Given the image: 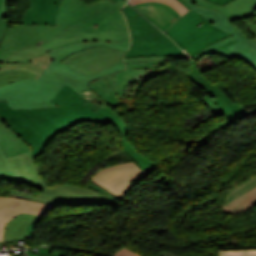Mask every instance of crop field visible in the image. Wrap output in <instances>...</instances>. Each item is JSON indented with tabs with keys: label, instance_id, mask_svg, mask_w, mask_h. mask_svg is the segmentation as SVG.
Segmentation results:
<instances>
[{
	"label": "crop field",
	"instance_id": "crop-field-1",
	"mask_svg": "<svg viewBox=\"0 0 256 256\" xmlns=\"http://www.w3.org/2000/svg\"><path fill=\"white\" fill-rule=\"evenodd\" d=\"M126 2L109 0L88 6L80 0H62L56 26L35 24L39 40L47 52L75 43L130 42L120 11Z\"/></svg>",
	"mask_w": 256,
	"mask_h": 256
},
{
	"label": "crop field",
	"instance_id": "crop-field-2",
	"mask_svg": "<svg viewBox=\"0 0 256 256\" xmlns=\"http://www.w3.org/2000/svg\"><path fill=\"white\" fill-rule=\"evenodd\" d=\"M52 102L59 106L13 110L7 102H0V117L7 127L30 145L34 158L43 154L48 142L57 134L80 121L109 124L87 108L83 104L85 100L69 86L64 85Z\"/></svg>",
	"mask_w": 256,
	"mask_h": 256
},
{
	"label": "crop field",
	"instance_id": "crop-field-3",
	"mask_svg": "<svg viewBox=\"0 0 256 256\" xmlns=\"http://www.w3.org/2000/svg\"><path fill=\"white\" fill-rule=\"evenodd\" d=\"M0 180L21 182L43 191L35 197L11 189L8 196L54 205H98V191L68 183L55 185L54 188L47 187L39 177L31 151L7 157L0 146Z\"/></svg>",
	"mask_w": 256,
	"mask_h": 256
},
{
	"label": "crop field",
	"instance_id": "crop-field-4",
	"mask_svg": "<svg viewBox=\"0 0 256 256\" xmlns=\"http://www.w3.org/2000/svg\"><path fill=\"white\" fill-rule=\"evenodd\" d=\"M122 12L127 18L132 37V45L125 58L169 56L188 59L171 39L155 28L129 4L122 9Z\"/></svg>",
	"mask_w": 256,
	"mask_h": 256
},
{
	"label": "crop field",
	"instance_id": "crop-field-5",
	"mask_svg": "<svg viewBox=\"0 0 256 256\" xmlns=\"http://www.w3.org/2000/svg\"><path fill=\"white\" fill-rule=\"evenodd\" d=\"M185 1L188 2L193 9H195L203 17L211 21L215 26L232 35L227 39L215 43L206 50L204 49L205 51L192 58L193 61H196L205 54H221L227 57L221 61H217L221 64L238 56L256 68L255 40L248 39L239 29L231 24L227 17L223 16L222 14L208 8L197 6L191 0Z\"/></svg>",
	"mask_w": 256,
	"mask_h": 256
},
{
	"label": "crop field",
	"instance_id": "crop-field-6",
	"mask_svg": "<svg viewBox=\"0 0 256 256\" xmlns=\"http://www.w3.org/2000/svg\"><path fill=\"white\" fill-rule=\"evenodd\" d=\"M188 20V21H186ZM202 26H198V25ZM189 56L193 57L229 34L215 27L193 9L165 32Z\"/></svg>",
	"mask_w": 256,
	"mask_h": 256
},
{
	"label": "crop field",
	"instance_id": "crop-field-7",
	"mask_svg": "<svg viewBox=\"0 0 256 256\" xmlns=\"http://www.w3.org/2000/svg\"><path fill=\"white\" fill-rule=\"evenodd\" d=\"M129 43H103V42H93L84 44H75L71 46H66L57 50L49 52L55 59L53 63L40 75L39 79H47L55 82H60L71 86L77 92L88 88L87 84L104 75H108L118 70L125 68L124 63H120L113 66L107 70L99 72L94 75H84L75 72L73 69L63 64L61 61L65 59L68 55L83 50L85 48L93 46H110L118 49L127 50Z\"/></svg>",
	"mask_w": 256,
	"mask_h": 256
},
{
	"label": "crop field",
	"instance_id": "crop-field-8",
	"mask_svg": "<svg viewBox=\"0 0 256 256\" xmlns=\"http://www.w3.org/2000/svg\"><path fill=\"white\" fill-rule=\"evenodd\" d=\"M163 62L164 61H152L126 64L127 69L89 83L88 86L90 88L79 92V95L86 100L87 103H85V105L94 111L102 108L88 102L95 97L105 106L108 104L111 108H116L119 103L118 99L122 98V93L130 81L141 75L146 68H157L158 63Z\"/></svg>",
	"mask_w": 256,
	"mask_h": 256
},
{
	"label": "crop field",
	"instance_id": "crop-field-9",
	"mask_svg": "<svg viewBox=\"0 0 256 256\" xmlns=\"http://www.w3.org/2000/svg\"><path fill=\"white\" fill-rule=\"evenodd\" d=\"M63 84L46 80L27 79L0 88V101H7L13 109L57 106L50 101Z\"/></svg>",
	"mask_w": 256,
	"mask_h": 256
},
{
	"label": "crop field",
	"instance_id": "crop-field-10",
	"mask_svg": "<svg viewBox=\"0 0 256 256\" xmlns=\"http://www.w3.org/2000/svg\"><path fill=\"white\" fill-rule=\"evenodd\" d=\"M44 53L35 26L12 25L0 45V67L13 62L31 63L32 57Z\"/></svg>",
	"mask_w": 256,
	"mask_h": 256
},
{
	"label": "crop field",
	"instance_id": "crop-field-11",
	"mask_svg": "<svg viewBox=\"0 0 256 256\" xmlns=\"http://www.w3.org/2000/svg\"><path fill=\"white\" fill-rule=\"evenodd\" d=\"M191 60V70L187 74L190 80L209 93L201 100L216 116L226 115L228 120L235 119L253 112L256 108L248 111L239 103L233 104L230 99L211 83L200 71L199 67Z\"/></svg>",
	"mask_w": 256,
	"mask_h": 256
},
{
	"label": "crop field",
	"instance_id": "crop-field-12",
	"mask_svg": "<svg viewBox=\"0 0 256 256\" xmlns=\"http://www.w3.org/2000/svg\"><path fill=\"white\" fill-rule=\"evenodd\" d=\"M124 52L110 47H94L76 52L62 62L80 73L93 74L122 62Z\"/></svg>",
	"mask_w": 256,
	"mask_h": 256
},
{
	"label": "crop field",
	"instance_id": "crop-field-13",
	"mask_svg": "<svg viewBox=\"0 0 256 256\" xmlns=\"http://www.w3.org/2000/svg\"><path fill=\"white\" fill-rule=\"evenodd\" d=\"M147 176L148 173L132 161L102 168L90 180L121 199L131 189L128 181Z\"/></svg>",
	"mask_w": 256,
	"mask_h": 256
},
{
	"label": "crop field",
	"instance_id": "crop-field-14",
	"mask_svg": "<svg viewBox=\"0 0 256 256\" xmlns=\"http://www.w3.org/2000/svg\"><path fill=\"white\" fill-rule=\"evenodd\" d=\"M56 206L14 197L0 196V240H3L8 222L21 212L43 215Z\"/></svg>",
	"mask_w": 256,
	"mask_h": 256
},
{
	"label": "crop field",
	"instance_id": "crop-field-15",
	"mask_svg": "<svg viewBox=\"0 0 256 256\" xmlns=\"http://www.w3.org/2000/svg\"><path fill=\"white\" fill-rule=\"evenodd\" d=\"M53 57L48 53L32 60L29 63L6 64L0 68V87L6 83L23 80L27 78H37L51 64Z\"/></svg>",
	"mask_w": 256,
	"mask_h": 256
},
{
	"label": "crop field",
	"instance_id": "crop-field-16",
	"mask_svg": "<svg viewBox=\"0 0 256 256\" xmlns=\"http://www.w3.org/2000/svg\"><path fill=\"white\" fill-rule=\"evenodd\" d=\"M134 7L162 31L181 16L171 6L163 3L148 2Z\"/></svg>",
	"mask_w": 256,
	"mask_h": 256
},
{
	"label": "crop field",
	"instance_id": "crop-field-17",
	"mask_svg": "<svg viewBox=\"0 0 256 256\" xmlns=\"http://www.w3.org/2000/svg\"><path fill=\"white\" fill-rule=\"evenodd\" d=\"M61 0H31L32 10H27L22 24L55 25Z\"/></svg>",
	"mask_w": 256,
	"mask_h": 256
},
{
	"label": "crop field",
	"instance_id": "crop-field-18",
	"mask_svg": "<svg viewBox=\"0 0 256 256\" xmlns=\"http://www.w3.org/2000/svg\"><path fill=\"white\" fill-rule=\"evenodd\" d=\"M200 6L214 9L226 15L230 21L238 20L245 17H251L253 10L256 9V0H234L229 4L221 7L206 0H192Z\"/></svg>",
	"mask_w": 256,
	"mask_h": 256
},
{
	"label": "crop field",
	"instance_id": "crop-field-19",
	"mask_svg": "<svg viewBox=\"0 0 256 256\" xmlns=\"http://www.w3.org/2000/svg\"><path fill=\"white\" fill-rule=\"evenodd\" d=\"M0 144L7 156H13L31 150L29 145L21 140L11 129L7 128L1 119Z\"/></svg>",
	"mask_w": 256,
	"mask_h": 256
},
{
	"label": "crop field",
	"instance_id": "crop-field-20",
	"mask_svg": "<svg viewBox=\"0 0 256 256\" xmlns=\"http://www.w3.org/2000/svg\"><path fill=\"white\" fill-rule=\"evenodd\" d=\"M37 218L38 216L28 213L16 216L9 222L4 241L27 237V227Z\"/></svg>",
	"mask_w": 256,
	"mask_h": 256
},
{
	"label": "crop field",
	"instance_id": "crop-field-21",
	"mask_svg": "<svg viewBox=\"0 0 256 256\" xmlns=\"http://www.w3.org/2000/svg\"><path fill=\"white\" fill-rule=\"evenodd\" d=\"M256 205V188L244 193L222 207L227 214H238Z\"/></svg>",
	"mask_w": 256,
	"mask_h": 256
},
{
	"label": "crop field",
	"instance_id": "crop-field-22",
	"mask_svg": "<svg viewBox=\"0 0 256 256\" xmlns=\"http://www.w3.org/2000/svg\"><path fill=\"white\" fill-rule=\"evenodd\" d=\"M120 144L129 154V156L132 157L134 161L142 168L143 171H151L153 168L157 166L156 163L139 154L128 141L122 142Z\"/></svg>",
	"mask_w": 256,
	"mask_h": 256
},
{
	"label": "crop field",
	"instance_id": "crop-field-23",
	"mask_svg": "<svg viewBox=\"0 0 256 256\" xmlns=\"http://www.w3.org/2000/svg\"><path fill=\"white\" fill-rule=\"evenodd\" d=\"M96 112L105 117L109 122L113 123L117 127L120 134L123 135L124 141L127 140V125L117 114L112 111L108 105Z\"/></svg>",
	"mask_w": 256,
	"mask_h": 256
},
{
	"label": "crop field",
	"instance_id": "crop-field-24",
	"mask_svg": "<svg viewBox=\"0 0 256 256\" xmlns=\"http://www.w3.org/2000/svg\"><path fill=\"white\" fill-rule=\"evenodd\" d=\"M155 74H159V71L157 69H146V71L141 76L128 84L123 94V98L136 95V92L139 89L140 85L144 81L150 79Z\"/></svg>",
	"mask_w": 256,
	"mask_h": 256
},
{
	"label": "crop field",
	"instance_id": "crop-field-25",
	"mask_svg": "<svg viewBox=\"0 0 256 256\" xmlns=\"http://www.w3.org/2000/svg\"><path fill=\"white\" fill-rule=\"evenodd\" d=\"M255 186H256V176L231 189L227 197V203H229L231 200L235 199L239 195L252 189Z\"/></svg>",
	"mask_w": 256,
	"mask_h": 256
},
{
	"label": "crop field",
	"instance_id": "crop-field-26",
	"mask_svg": "<svg viewBox=\"0 0 256 256\" xmlns=\"http://www.w3.org/2000/svg\"><path fill=\"white\" fill-rule=\"evenodd\" d=\"M147 1H157V2H163L165 4L171 5L175 10H177L181 15L185 12L189 11L187 8H185L181 3H179L177 0H129V2L132 5L141 4Z\"/></svg>",
	"mask_w": 256,
	"mask_h": 256
},
{
	"label": "crop field",
	"instance_id": "crop-field-27",
	"mask_svg": "<svg viewBox=\"0 0 256 256\" xmlns=\"http://www.w3.org/2000/svg\"><path fill=\"white\" fill-rule=\"evenodd\" d=\"M6 9H7V1L0 0V42L5 36L7 29H9V27L11 26V24L7 23L8 19L3 18Z\"/></svg>",
	"mask_w": 256,
	"mask_h": 256
},
{
	"label": "crop field",
	"instance_id": "crop-field-28",
	"mask_svg": "<svg viewBox=\"0 0 256 256\" xmlns=\"http://www.w3.org/2000/svg\"><path fill=\"white\" fill-rule=\"evenodd\" d=\"M219 256H256L255 250H218Z\"/></svg>",
	"mask_w": 256,
	"mask_h": 256
},
{
	"label": "crop field",
	"instance_id": "crop-field-29",
	"mask_svg": "<svg viewBox=\"0 0 256 256\" xmlns=\"http://www.w3.org/2000/svg\"><path fill=\"white\" fill-rule=\"evenodd\" d=\"M152 60H165V57H139V58H129L125 59L126 63L131 62H142V61H152Z\"/></svg>",
	"mask_w": 256,
	"mask_h": 256
},
{
	"label": "crop field",
	"instance_id": "crop-field-30",
	"mask_svg": "<svg viewBox=\"0 0 256 256\" xmlns=\"http://www.w3.org/2000/svg\"><path fill=\"white\" fill-rule=\"evenodd\" d=\"M242 22L246 26L247 30L250 31L256 39V17H255V21L242 20Z\"/></svg>",
	"mask_w": 256,
	"mask_h": 256
},
{
	"label": "crop field",
	"instance_id": "crop-field-31",
	"mask_svg": "<svg viewBox=\"0 0 256 256\" xmlns=\"http://www.w3.org/2000/svg\"><path fill=\"white\" fill-rule=\"evenodd\" d=\"M116 256H140L136 253H134L133 251L129 250L128 248H124L121 251H119L118 253L115 254Z\"/></svg>",
	"mask_w": 256,
	"mask_h": 256
},
{
	"label": "crop field",
	"instance_id": "crop-field-32",
	"mask_svg": "<svg viewBox=\"0 0 256 256\" xmlns=\"http://www.w3.org/2000/svg\"><path fill=\"white\" fill-rule=\"evenodd\" d=\"M40 220H42V218L39 216V218H38L36 221H34V222L29 226V228H28V235H33V234H32V229H33L34 225H35L38 221H40Z\"/></svg>",
	"mask_w": 256,
	"mask_h": 256
},
{
	"label": "crop field",
	"instance_id": "crop-field-33",
	"mask_svg": "<svg viewBox=\"0 0 256 256\" xmlns=\"http://www.w3.org/2000/svg\"><path fill=\"white\" fill-rule=\"evenodd\" d=\"M208 1H211V2H214L216 4H220V5H225L227 4L228 2L232 1V0H208Z\"/></svg>",
	"mask_w": 256,
	"mask_h": 256
},
{
	"label": "crop field",
	"instance_id": "crop-field-34",
	"mask_svg": "<svg viewBox=\"0 0 256 256\" xmlns=\"http://www.w3.org/2000/svg\"><path fill=\"white\" fill-rule=\"evenodd\" d=\"M179 2H181L184 6H186L188 9H191V6L189 4H187L185 1L183 0H178Z\"/></svg>",
	"mask_w": 256,
	"mask_h": 256
},
{
	"label": "crop field",
	"instance_id": "crop-field-35",
	"mask_svg": "<svg viewBox=\"0 0 256 256\" xmlns=\"http://www.w3.org/2000/svg\"><path fill=\"white\" fill-rule=\"evenodd\" d=\"M159 255L160 256H176V255H172V254H163V253H160Z\"/></svg>",
	"mask_w": 256,
	"mask_h": 256
},
{
	"label": "crop field",
	"instance_id": "crop-field-36",
	"mask_svg": "<svg viewBox=\"0 0 256 256\" xmlns=\"http://www.w3.org/2000/svg\"><path fill=\"white\" fill-rule=\"evenodd\" d=\"M113 2H115V1H118V0H112Z\"/></svg>",
	"mask_w": 256,
	"mask_h": 256
},
{
	"label": "crop field",
	"instance_id": "crop-field-37",
	"mask_svg": "<svg viewBox=\"0 0 256 256\" xmlns=\"http://www.w3.org/2000/svg\"><path fill=\"white\" fill-rule=\"evenodd\" d=\"M0 243H3V241H0Z\"/></svg>",
	"mask_w": 256,
	"mask_h": 256
}]
</instances>
